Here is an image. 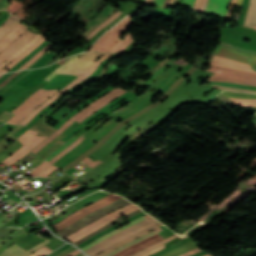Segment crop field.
Returning a JSON list of instances; mask_svg holds the SVG:
<instances>
[{"label": "crop field", "mask_w": 256, "mask_h": 256, "mask_svg": "<svg viewBox=\"0 0 256 256\" xmlns=\"http://www.w3.org/2000/svg\"><path fill=\"white\" fill-rule=\"evenodd\" d=\"M125 92H126L125 90L113 89L110 93H108L105 96L99 98L98 100L93 102L91 105H89L88 107L84 108L79 113H77L75 116H73L71 119H69L61 128H59L55 133H53L52 136H50L47 139H45L42 143H40L31 152L35 154L43 146H45L48 142H50L53 138H55L58 134L63 132L75 120L77 122L81 123L84 119H86L88 116H90L96 110H98L101 107L105 106L106 104L111 102L113 99H115L116 97L120 96L121 94H123Z\"/></svg>", "instance_id": "8a807250"}, {"label": "crop field", "mask_w": 256, "mask_h": 256, "mask_svg": "<svg viewBox=\"0 0 256 256\" xmlns=\"http://www.w3.org/2000/svg\"><path fill=\"white\" fill-rule=\"evenodd\" d=\"M157 222H159V221L150 217V218H148V219H146L128 229H125L121 232H118V233L104 239L103 241L99 242L98 244H96L95 246H93L92 248L88 249L85 252H87L88 254L93 256V255L107 249L111 245H113L121 240H124V239L148 228L149 226H151Z\"/></svg>", "instance_id": "ac0d7876"}, {"label": "crop field", "mask_w": 256, "mask_h": 256, "mask_svg": "<svg viewBox=\"0 0 256 256\" xmlns=\"http://www.w3.org/2000/svg\"><path fill=\"white\" fill-rule=\"evenodd\" d=\"M139 209V207L131 204L126 207L120 208L114 212H111L102 218L98 219L97 221L93 222L92 224L88 225L87 227L81 229L80 231L66 237L65 239L71 241V242H76L80 240L81 238L85 237L86 235L94 232L95 230L101 228L102 226L108 224L109 222L121 217L124 214L130 213L132 211H135Z\"/></svg>", "instance_id": "34b2d1b8"}, {"label": "crop field", "mask_w": 256, "mask_h": 256, "mask_svg": "<svg viewBox=\"0 0 256 256\" xmlns=\"http://www.w3.org/2000/svg\"><path fill=\"white\" fill-rule=\"evenodd\" d=\"M208 71L215 73L207 79L208 81H226L256 86V74L215 68L212 66Z\"/></svg>", "instance_id": "412701ff"}, {"label": "crop field", "mask_w": 256, "mask_h": 256, "mask_svg": "<svg viewBox=\"0 0 256 256\" xmlns=\"http://www.w3.org/2000/svg\"><path fill=\"white\" fill-rule=\"evenodd\" d=\"M51 90H38L34 92L21 106H19L17 109H15L12 113L16 114L11 119H9L5 123L12 124L17 118H19L31 105H33L36 101H38L40 98H42L44 95H46ZM58 90H53L50 93H48L46 96H44L42 99H40L38 102H36L33 106H31L19 119H17L13 124H17L21 122L34 108L39 106L41 103H43L47 98L52 96L54 93H56Z\"/></svg>", "instance_id": "f4fd0767"}, {"label": "crop field", "mask_w": 256, "mask_h": 256, "mask_svg": "<svg viewBox=\"0 0 256 256\" xmlns=\"http://www.w3.org/2000/svg\"><path fill=\"white\" fill-rule=\"evenodd\" d=\"M120 198H122V197L110 194L107 197H105V198H103V199H101V200H99V201H97V202H95L93 204H90V205H88V206L78 210L77 212L73 213L68 218H66L63 221H61L60 223L54 225V228L59 226V225H61V224H63V223H65V222H67V221H69L71 218H73L77 214L81 213L80 215L74 217L71 221H69L66 224L60 226L59 228H56V231H58V230H60V229H62L64 227H66L67 225H69V224L79 220L80 218H82V217H84V216H86V215H88V214H90V213H92V212H94V211H96V210H98V209L108 205V204H111V203L117 201Z\"/></svg>", "instance_id": "dd49c442"}, {"label": "crop field", "mask_w": 256, "mask_h": 256, "mask_svg": "<svg viewBox=\"0 0 256 256\" xmlns=\"http://www.w3.org/2000/svg\"><path fill=\"white\" fill-rule=\"evenodd\" d=\"M103 54L105 53L94 52V53L84 54L59 74H72V75L79 76L85 70H87L99 56Z\"/></svg>", "instance_id": "e52e79f7"}, {"label": "crop field", "mask_w": 256, "mask_h": 256, "mask_svg": "<svg viewBox=\"0 0 256 256\" xmlns=\"http://www.w3.org/2000/svg\"><path fill=\"white\" fill-rule=\"evenodd\" d=\"M34 35V33L25 31L15 42L0 53V64L28 42Z\"/></svg>", "instance_id": "d8731c3e"}, {"label": "crop field", "mask_w": 256, "mask_h": 256, "mask_svg": "<svg viewBox=\"0 0 256 256\" xmlns=\"http://www.w3.org/2000/svg\"><path fill=\"white\" fill-rule=\"evenodd\" d=\"M210 65L244 71V72L256 73L250 68V66L248 64L236 62V61L229 60V59L222 58V57L215 56V55L213 56V59H212Z\"/></svg>", "instance_id": "5a996713"}, {"label": "crop field", "mask_w": 256, "mask_h": 256, "mask_svg": "<svg viewBox=\"0 0 256 256\" xmlns=\"http://www.w3.org/2000/svg\"><path fill=\"white\" fill-rule=\"evenodd\" d=\"M163 240L158 234L151 236L141 242L136 243L135 245L128 247L124 250H122L121 252L117 253L114 256H130L138 251H140L141 249L150 246L156 242H159Z\"/></svg>", "instance_id": "3316defc"}, {"label": "crop field", "mask_w": 256, "mask_h": 256, "mask_svg": "<svg viewBox=\"0 0 256 256\" xmlns=\"http://www.w3.org/2000/svg\"><path fill=\"white\" fill-rule=\"evenodd\" d=\"M117 9L114 7L108 5L105 7L96 17H94L91 21H89L86 24V33L83 35V38H85L94 28H96L98 25H100L105 19H107L109 16L114 14Z\"/></svg>", "instance_id": "28ad6ade"}, {"label": "crop field", "mask_w": 256, "mask_h": 256, "mask_svg": "<svg viewBox=\"0 0 256 256\" xmlns=\"http://www.w3.org/2000/svg\"><path fill=\"white\" fill-rule=\"evenodd\" d=\"M228 3L229 0H209L204 13L225 17Z\"/></svg>", "instance_id": "d1516ede"}, {"label": "crop field", "mask_w": 256, "mask_h": 256, "mask_svg": "<svg viewBox=\"0 0 256 256\" xmlns=\"http://www.w3.org/2000/svg\"><path fill=\"white\" fill-rule=\"evenodd\" d=\"M48 243H49V240L47 239V240L41 242L40 244L30 248L27 251L21 249L20 247H18L16 244L13 243L10 247H8L6 250H4L0 256H29L33 251L37 250L38 248H40Z\"/></svg>", "instance_id": "22f410ed"}, {"label": "crop field", "mask_w": 256, "mask_h": 256, "mask_svg": "<svg viewBox=\"0 0 256 256\" xmlns=\"http://www.w3.org/2000/svg\"><path fill=\"white\" fill-rule=\"evenodd\" d=\"M28 27L19 23L12 31L6 34L0 41V52L16 40Z\"/></svg>", "instance_id": "cbeb9de0"}, {"label": "crop field", "mask_w": 256, "mask_h": 256, "mask_svg": "<svg viewBox=\"0 0 256 256\" xmlns=\"http://www.w3.org/2000/svg\"><path fill=\"white\" fill-rule=\"evenodd\" d=\"M132 23L133 21L131 20L118 31H116L114 34H112L110 37H108L95 51L100 50L108 52L113 47V45L120 40L117 36L126 28H128Z\"/></svg>", "instance_id": "5142ce71"}, {"label": "crop field", "mask_w": 256, "mask_h": 256, "mask_svg": "<svg viewBox=\"0 0 256 256\" xmlns=\"http://www.w3.org/2000/svg\"><path fill=\"white\" fill-rule=\"evenodd\" d=\"M143 215H146V213L143 212V213L137 214V215H135V216H133V217H131V218L125 220V221L119 222V223H117V224L111 226L110 228H108V229H106V230H104V231H102V232H100V233H98V234H96V235L90 237L89 239L85 240L84 242H82L81 244H79V245H77V246H79V247L81 248V247H83L84 245H86V244H88L89 242H91L92 240H94V239H96V238H98V237H100V236H102V235H104V234H106V233H108V232H110V231H112V230H114V229L120 227V226H123V225H125V224H127V223H129V222H131V221H133V220H135V219H137L138 217L143 216Z\"/></svg>", "instance_id": "d9b57169"}, {"label": "crop field", "mask_w": 256, "mask_h": 256, "mask_svg": "<svg viewBox=\"0 0 256 256\" xmlns=\"http://www.w3.org/2000/svg\"><path fill=\"white\" fill-rule=\"evenodd\" d=\"M215 54L224 56V57H228V58H232V59H236V60H239L244 63H249L248 58H244V57L240 56L238 53H236L234 50L227 48V47L220 46V45H218V47L215 51Z\"/></svg>", "instance_id": "733c2abd"}, {"label": "crop field", "mask_w": 256, "mask_h": 256, "mask_svg": "<svg viewBox=\"0 0 256 256\" xmlns=\"http://www.w3.org/2000/svg\"><path fill=\"white\" fill-rule=\"evenodd\" d=\"M161 225H163V224H162L161 222H159V223H157V224L151 226L150 228L144 230L143 232H141V233H139V234H137V235H135V236H132V237H130V238L124 240V241H121V242H119V243L113 245L112 247L108 248L107 250H105V251H103V252H101V253H99V254H97V255H95V256H102V255H104V254H106V253H108V252H110V251H112V250L118 248L120 245H122V244H124V243H126V242H129V241H131V240H133V239H136V238H138V237H140V236H142V235L148 233L149 231H151V230H153V229H155V228H157V227H159V226H161Z\"/></svg>", "instance_id": "4a817a6b"}, {"label": "crop field", "mask_w": 256, "mask_h": 256, "mask_svg": "<svg viewBox=\"0 0 256 256\" xmlns=\"http://www.w3.org/2000/svg\"><path fill=\"white\" fill-rule=\"evenodd\" d=\"M243 24L256 25V0H250Z\"/></svg>", "instance_id": "bc2a9ffb"}, {"label": "crop field", "mask_w": 256, "mask_h": 256, "mask_svg": "<svg viewBox=\"0 0 256 256\" xmlns=\"http://www.w3.org/2000/svg\"><path fill=\"white\" fill-rule=\"evenodd\" d=\"M42 36L36 35L32 40H30L23 48H21L19 51H17L14 55H12L10 58H8L4 63L0 65V70L5 67L7 64H9L11 61H13L15 58H17L19 55H21L25 50H27L32 44H34L37 40H39Z\"/></svg>", "instance_id": "214f88e0"}, {"label": "crop field", "mask_w": 256, "mask_h": 256, "mask_svg": "<svg viewBox=\"0 0 256 256\" xmlns=\"http://www.w3.org/2000/svg\"><path fill=\"white\" fill-rule=\"evenodd\" d=\"M18 17V16H17ZM15 15L12 16L10 20H8L6 23H4L0 27V39L9 32L13 27H15L21 20L17 18Z\"/></svg>", "instance_id": "92a150f3"}, {"label": "crop field", "mask_w": 256, "mask_h": 256, "mask_svg": "<svg viewBox=\"0 0 256 256\" xmlns=\"http://www.w3.org/2000/svg\"><path fill=\"white\" fill-rule=\"evenodd\" d=\"M131 17H127L113 29L109 30L105 35H103L87 52L94 51L108 36H110L113 32H115L118 28H120L123 24L129 21Z\"/></svg>", "instance_id": "dafd665d"}, {"label": "crop field", "mask_w": 256, "mask_h": 256, "mask_svg": "<svg viewBox=\"0 0 256 256\" xmlns=\"http://www.w3.org/2000/svg\"><path fill=\"white\" fill-rule=\"evenodd\" d=\"M44 40H46V38H44V37L41 38L33 46H31L27 51H25L21 56H19L17 59H15L9 65H7L0 73H5L7 70H9L15 64H17L21 59H23L27 54H29L33 49H35L39 44H41Z\"/></svg>", "instance_id": "00972430"}, {"label": "crop field", "mask_w": 256, "mask_h": 256, "mask_svg": "<svg viewBox=\"0 0 256 256\" xmlns=\"http://www.w3.org/2000/svg\"><path fill=\"white\" fill-rule=\"evenodd\" d=\"M160 231H162V230H161L160 228H158V229H156V230H154V231H152V232H150V233H148V234H146V235H144V236H142V237H140V238H138V239H136V240H134V241H132V242H130V243H127V244H125V245L120 246L118 249H116V250H114V251H112V252H110V253H108V254H106V255H104V256H112L113 254H115V253L121 251L122 249H124V248H126V247H128V246H130V245H132V244H134V243H136V242H138V241H140V240H142V239L148 237V236H151V235H153V234H156V233H158V232H160Z\"/></svg>", "instance_id": "a9b5d70f"}, {"label": "crop field", "mask_w": 256, "mask_h": 256, "mask_svg": "<svg viewBox=\"0 0 256 256\" xmlns=\"http://www.w3.org/2000/svg\"><path fill=\"white\" fill-rule=\"evenodd\" d=\"M174 63V61L170 60L168 63H166L163 67L158 69L150 78L149 81L144 82L140 87L149 86L153 83V81L169 66H171Z\"/></svg>", "instance_id": "4177f3b9"}, {"label": "crop field", "mask_w": 256, "mask_h": 256, "mask_svg": "<svg viewBox=\"0 0 256 256\" xmlns=\"http://www.w3.org/2000/svg\"><path fill=\"white\" fill-rule=\"evenodd\" d=\"M48 42H43L40 46H38L33 52H31L28 56H26L22 61H20L17 65H15L11 70L14 71L17 68H19L21 65H23L25 62H27L32 56H34L38 51H40L44 46H46ZM18 70V69H17ZM8 71V72H9Z\"/></svg>", "instance_id": "730fd06b"}, {"label": "crop field", "mask_w": 256, "mask_h": 256, "mask_svg": "<svg viewBox=\"0 0 256 256\" xmlns=\"http://www.w3.org/2000/svg\"><path fill=\"white\" fill-rule=\"evenodd\" d=\"M83 103V102H81ZM80 103V104H81ZM79 104V105H80ZM78 105V106H79ZM77 107V106H76ZM75 107V108H76ZM74 109V108H73ZM73 109H68L65 105L59 110L57 111L52 117H50L49 119L58 122L59 120H61L67 113H69L70 111H72ZM75 110V109H74Z\"/></svg>", "instance_id": "eef30255"}, {"label": "crop field", "mask_w": 256, "mask_h": 256, "mask_svg": "<svg viewBox=\"0 0 256 256\" xmlns=\"http://www.w3.org/2000/svg\"><path fill=\"white\" fill-rule=\"evenodd\" d=\"M53 44H48L46 47H44L40 52H38L33 58H31L27 63H25L23 66H21L19 69H26L29 67L33 62H35L42 54H44ZM18 69V70H19Z\"/></svg>", "instance_id": "ae1a2a85"}, {"label": "crop field", "mask_w": 256, "mask_h": 256, "mask_svg": "<svg viewBox=\"0 0 256 256\" xmlns=\"http://www.w3.org/2000/svg\"><path fill=\"white\" fill-rule=\"evenodd\" d=\"M238 106L241 108L244 107H251V106H256V100H250V99H232Z\"/></svg>", "instance_id": "d3111659"}, {"label": "crop field", "mask_w": 256, "mask_h": 256, "mask_svg": "<svg viewBox=\"0 0 256 256\" xmlns=\"http://www.w3.org/2000/svg\"><path fill=\"white\" fill-rule=\"evenodd\" d=\"M83 161H85V162H87L88 164L87 165H85V166H83L82 168H80V169H82L83 171H88V170H90L91 168H93L94 166H96V165H98L99 163H101V162H99L97 159H95L93 156H88L86 159H84Z\"/></svg>", "instance_id": "750c4746"}, {"label": "crop field", "mask_w": 256, "mask_h": 256, "mask_svg": "<svg viewBox=\"0 0 256 256\" xmlns=\"http://www.w3.org/2000/svg\"><path fill=\"white\" fill-rule=\"evenodd\" d=\"M121 14V12H117L114 15H112L109 19H107L104 23H102L99 27H97L91 34H89L87 36V38H91L92 36H94L99 30H101L104 26L108 25L109 23H111L115 18H117L119 15Z\"/></svg>", "instance_id": "bd1437ed"}, {"label": "crop field", "mask_w": 256, "mask_h": 256, "mask_svg": "<svg viewBox=\"0 0 256 256\" xmlns=\"http://www.w3.org/2000/svg\"><path fill=\"white\" fill-rule=\"evenodd\" d=\"M175 238H177L176 234L173 235L172 237L166 239V240H163V241H161V242H159V243H157V244H155V245H153V246H150V247H148V248H146V249H144V250H142V251L136 253V254L133 255V256H139V255H141V254H143V253H145V252H148V251H150V250H152V249H154V248H156V247H158V246H160V245H162V244H164V243H167V242H169V241H171V240H173V239H175Z\"/></svg>", "instance_id": "1d83c4d3"}, {"label": "crop field", "mask_w": 256, "mask_h": 256, "mask_svg": "<svg viewBox=\"0 0 256 256\" xmlns=\"http://www.w3.org/2000/svg\"><path fill=\"white\" fill-rule=\"evenodd\" d=\"M84 139L83 135L73 143V145L69 146L67 149H65L62 153H60L57 157H55L50 163L56 162L59 158H61L63 155H65L67 152H69L71 149H73L78 143H80Z\"/></svg>", "instance_id": "120bbe31"}, {"label": "crop field", "mask_w": 256, "mask_h": 256, "mask_svg": "<svg viewBox=\"0 0 256 256\" xmlns=\"http://www.w3.org/2000/svg\"><path fill=\"white\" fill-rule=\"evenodd\" d=\"M50 164H48L47 162H43L41 163L37 168H35L31 173H29V175H31L32 177L38 175L39 173H41L42 171H44Z\"/></svg>", "instance_id": "d32e631a"}, {"label": "crop field", "mask_w": 256, "mask_h": 256, "mask_svg": "<svg viewBox=\"0 0 256 256\" xmlns=\"http://www.w3.org/2000/svg\"><path fill=\"white\" fill-rule=\"evenodd\" d=\"M210 84H216V85H222V86H228V87H235V88H243V89H249L250 88V87H245L244 85L226 83V82H210Z\"/></svg>", "instance_id": "5866460e"}, {"label": "crop field", "mask_w": 256, "mask_h": 256, "mask_svg": "<svg viewBox=\"0 0 256 256\" xmlns=\"http://www.w3.org/2000/svg\"><path fill=\"white\" fill-rule=\"evenodd\" d=\"M51 251H53V250L44 246V247L40 248L39 250L35 251L34 253H32L30 256H44Z\"/></svg>", "instance_id": "028f5c9d"}, {"label": "crop field", "mask_w": 256, "mask_h": 256, "mask_svg": "<svg viewBox=\"0 0 256 256\" xmlns=\"http://www.w3.org/2000/svg\"><path fill=\"white\" fill-rule=\"evenodd\" d=\"M206 3H207V0H196V3L193 8L203 12Z\"/></svg>", "instance_id": "e1f06a70"}, {"label": "crop field", "mask_w": 256, "mask_h": 256, "mask_svg": "<svg viewBox=\"0 0 256 256\" xmlns=\"http://www.w3.org/2000/svg\"><path fill=\"white\" fill-rule=\"evenodd\" d=\"M76 138H72L70 139L66 144H64L62 147H60L58 150H56L52 155H50L46 160H50L54 155H56L57 153H59L60 151H62L63 149H65L67 146H69L73 141H75Z\"/></svg>", "instance_id": "0bd39190"}, {"label": "crop field", "mask_w": 256, "mask_h": 256, "mask_svg": "<svg viewBox=\"0 0 256 256\" xmlns=\"http://www.w3.org/2000/svg\"><path fill=\"white\" fill-rule=\"evenodd\" d=\"M57 167L55 166H50L48 169H46L43 173H41L39 176L40 177H46L47 175H49L53 170H55ZM58 169V168H57Z\"/></svg>", "instance_id": "b80d0937"}, {"label": "crop field", "mask_w": 256, "mask_h": 256, "mask_svg": "<svg viewBox=\"0 0 256 256\" xmlns=\"http://www.w3.org/2000/svg\"><path fill=\"white\" fill-rule=\"evenodd\" d=\"M133 41L132 36L126 41L124 42L121 47L116 51V52H121L123 49H125L129 44H131Z\"/></svg>", "instance_id": "c035e120"}, {"label": "crop field", "mask_w": 256, "mask_h": 256, "mask_svg": "<svg viewBox=\"0 0 256 256\" xmlns=\"http://www.w3.org/2000/svg\"><path fill=\"white\" fill-rule=\"evenodd\" d=\"M22 71H18V72H14L13 74H11L7 79H5L0 85L4 86L6 85L8 82H10L18 73H20Z\"/></svg>", "instance_id": "c21b1889"}, {"label": "crop field", "mask_w": 256, "mask_h": 256, "mask_svg": "<svg viewBox=\"0 0 256 256\" xmlns=\"http://www.w3.org/2000/svg\"><path fill=\"white\" fill-rule=\"evenodd\" d=\"M70 247H71V246L67 244V245H65V246H63L62 248H60V249H58V250L52 252L51 254H49V255H47V256H55V255L59 254L60 252L66 250V249H68V248H70Z\"/></svg>", "instance_id": "03da06ac"}, {"label": "crop field", "mask_w": 256, "mask_h": 256, "mask_svg": "<svg viewBox=\"0 0 256 256\" xmlns=\"http://www.w3.org/2000/svg\"><path fill=\"white\" fill-rule=\"evenodd\" d=\"M13 114L5 111L0 115V121H6L8 118H10Z\"/></svg>", "instance_id": "b54c1fbb"}, {"label": "crop field", "mask_w": 256, "mask_h": 256, "mask_svg": "<svg viewBox=\"0 0 256 256\" xmlns=\"http://www.w3.org/2000/svg\"><path fill=\"white\" fill-rule=\"evenodd\" d=\"M238 53L241 54V55L249 57L250 61H251V64H255L256 65V56L250 55V54H246V53H242V52H238Z\"/></svg>", "instance_id": "5d738f31"}, {"label": "crop field", "mask_w": 256, "mask_h": 256, "mask_svg": "<svg viewBox=\"0 0 256 256\" xmlns=\"http://www.w3.org/2000/svg\"><path fill=\"white\" fill-rule=\"evenodd\" d=\"M215 88H220V89H227V90H235V91H244V92H255L256 91H251V90H243V89H234V88H227V87H221V86H215L213 85Z\"/></svg>", "instance_id": "d23c7cc5"}, {"label": "crop field", "mask_w": 256, "mask_h": 256, "mask_svg": "<svg viewBox=\"0 0 256 256\" xmlns=\"http://www.w3.org/2000/svg\"><path fill=\"white\" fill-rule=\"evenodd\" d=\"M195 0H184L183 4L192 8Z\"/></svg>", "instance_id": "425ffa30"}, {"label": "crop field", "mask_w": 256, "mask_h": 256, "mask_svg": "<svg viewBox=\"0 0 256 256\" xmlns=\"http://www.w3.org/2000/svg\"><path fill=\"white\" fill-rule=\"evenodd\" d=\"M201 250V249H200ZM198 248H196V249H194V250H192V251H190V252H188V253H186V254H183V255H181V256H190V255H192V254H195V253H197V252H201Z\"/></svg>", "instance_id": "25e5ab78"}, {"label": "crop field", "mask_w": 256, "mask_h": 256, "mask_svg": "<svg viewBox=\"0 0 256 256\" xmlns=\"http://www.w3.org/2000/svg\"><path fill=\"white\" fill-rule=\"evenodd\" d=\"M164 0H153L152 4L158 5L161 8L163 7Z\"/></svg>", "instance_id": "73cf0c24"}, {"label": "crop field", "mask_w": 256, "mask_h": 256, "mask_svg": "<svg viewBox=\"0 0 256 256\" xmlns=\"http://www.w3.org/2000/svg\"><path fill=\"white\" fill-rule=\"evenodd\" d=\"M165 247V245H163V246H161V247H159V248H157V249H154V250H152V251H150V252H148V253H146V254H144V255H142V256H149V255H151L152 253H154V252H156V251H158V250H160V249H162V248H164Z\"/></svg>", "instance_id": "89e229c0"}, {"label": "crop field", "mask_w": 256, "mask_h": 256, "mask_svg": "<svg viewBox=\"0 0 256 256\" xmlns=\"http://www.w3.org/2000/svg\"><path fill=\"white\" fill-rule=\"evenodd\" d=\"M78 253H80L78 250H76V251H74V252H71V253H69V254H67V255H65V256H74V255H76V254H78Z\"/></svg>", "instance_id": "1f2cbd36"}, {"label": "crop field", "mask_w": 256, "mask_h": 256, "mask_svg": "<svg viewBox=\"0 0 256 256\" xmlns=\"http://www.w3.org/2000/svg\"><path fill=\"white\" fill-rule=\"evenodd\" d=\"M12 73V72H11ZM11 73H7L5 75H3L1 78H0V83L5 79L7 78Z\"/></svg>", "instance_id": "dbb93151"}, {"label": "crop field", "mask_w": 256, "mask_h": 256, "mask_svg": "<svg viewBox=\"0 0 256 256\" xmlns=\"http://www.w3.org/2000/svg\"><path fill=\"white\" fill-rule=\"evenodd\" d=\"M169 0H165V4L163 8H168Z\"/></svg>", "instance_id": "0fb4a251"}, {"label": "crop field", "mask_w": 256, "mask_h": 256, "mask_svg": "<svg viewBox=\"0 0 256 256\" xmlns=\"http://www.w3.org/2000/svg\"><path fill=\"white\" fill-rule=\"evenodd\" d=\"M204 254H207V253L201 252V253L195 254V255H193V256H200V255H204Z\"/></svg>", "instance_id": "1d79db26"}, {"label": "crop field", "mask_w": 256, "mask_h": 256, "mask_svg": "<svg viewBox=\"0 0 256 256\" xmlns=\"http://www.w3.org/2000/svg\"><path fill=\"white\" fill-rule=\"evenodd\" d=\"M178 0H174L172 7L176 6Z\"/></svg>", "instance_id": "9d1cf04e"}, {"label": "crop field", "mask_w": 256, "mask_h": 256, "mask_svg": "<svg viewBox=\"0 0 256 256\" xmlns=\"http://www.w3.org/2000/svg\"><path fill=\"white\" fill-rule=\"evenodd\" d=\"M241 2H242V0H238V2H237V5H236V6H240V5H241Z\"/></svg>", "instance_id": "447ae74e"}, {"label": "crop field", "mask_w": 256, "mask_h": 256, "mask_svg": "<svg viewBox=\"0 0 256 256\" xmlns=\"http://www.w3.org/2000/svg\"><path fill=\"white\" fill-rule=\"evenodd\" d=\"M77 256H84V255L81 253V254H79V255H77Z\"/></svg>", "instance_id": "0765c3eb"}, {"label": "crop field", "mask_w": 256, "mask_h": 256, "mask_svg": "<svg viewBox=\"0 0 256 256\" xmlns=\"http://www.w3.org/2000/svg\"><path fill=\"white\" fill-rule=\"evenodd\" d=\"M204 256H211L210 254H208V255H204Z\"/></svg>", "instance_id": "db79e9e6"}, {"label": "crop field", "mask_w": 256, "mask_h": 256, "mask_svg": "<svg viewBox=\"0 0 256 256\" xmlns=\"http://www.w3.org/2000/svg\"><path fill=\"white\" fill-rule=\"evenodd\" d=\"M173 0H171L170 4H172Z\"/></svg>", "instance_id": "7b73153f"}, {"label": "crop field", "mask_w": 256, "mask_h": 256, "mask_svg": "<svg viewBox=\"0 0 256 256\" xmlns=\"http://www.w3.org/2000/svg\"><path fill=\"white\" fill-rule=\"evenodd\" d=\"M3 74H0V76H2Z\"/></svg>", "instance_id": "78b8030e"}]
</instances>
